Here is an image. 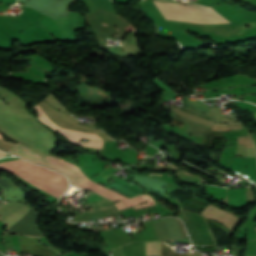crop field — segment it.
Masks as SVG:
<instances>
[{
    "label": "crop field",
    "instance_id": "crop-field-1",
    "mask_svg": "<svg viewBox=\"0 0 256 256\" xmlns=\"http://www.w3.org/2000/svg\"><path fill=\"white\" fill-rule=\"evenodd\" d=\"M167 196L175 198L178 201L179 207L182 208L181 210L190 212L203 246H205V245H230L229 238L232 233L229 232L226 228H207V226L208 227H224V226L204 217L206 224H207V226H206L204 219H203L202 215L200 214L202 211L201 209H197V208H193V207H189V206H185V205H180V204L196 197L194 195V190H192V189H188V190L177 189V190L168 192ZM184 204L202 208V209H204L208 205L207 202L202 201L198 198H195V199H193L189 202H186ZM190 214L187 212L181 211L179 218H181L184 221L193 244L194 245H202L200 242V239L198 237V234L196 232V229H195V226L193 224ZM215 247L216 246L196 247V249L199 251H202V252L213 253ZM232 250L241 251L242 247H239L237 245H232Z\"/></svg>",
    "mask_w": 256,
    "mask_h": 256
},
{
    "label": "crop field",
    "instance_id": "crop-field-2",
    "mask_svg": "<svg viewBox=\"0 0 256 256\" xmlns=\"http://www.w3.org/2000/svg\"><path fill=\"white\" fill-rule=\"evenodd\" d=\"M152 232L155 241H169L173 238H184L188 239L187 233L184 229L182 222L179 219H172L166 221H160L148 224ZM147 224L143 225L144 230L139 232L135 238L134 242H150L154 241L150 233ZM131 240L132 238L120 228ZM119 228L111 230L124 244L131 243V240L120 230ZM110 230L101 232L108 245L113 248L120 247L124 245ZM132 240V241H133ZM160 256H171L174 252L172 249L164 245V243L159 242ZM131 256H144L143 243H131L130 244ZM172 256H201V253H190V254H179L173 253Z\"/></svg>",
    "mask_w": 256,
    "mask_h": 256
},
{
    "label": "crop field",
    "instance_id": "crop-field-3",
    "mask_svg": "<svg viewBox=\"0 0 256 256\" xmlns=\"http://www.w3.org/2000/svg\"><path fill=\"white\" fill-rule=\"evenodd\" d=\"M0 168L13 172L22 180L58 199L68 187L64 175L19 158L0 162Z\"/></svg>",
    "mask_w": 256,
    "mask_h": 256
},
{
    "label": "crop field",
    "instance_id": "crop-field-4",
    "mask_svg": "<svg viewBox=\"0 0 256 256\" xmlns=\"http://www.w3.org/2000/svg\"><path fill=\"white\" fill-rule=\"evenodd\" d=\"M8 152L25 157V158L35 161L37 163H40V164H43L50 168H53L61 173H64L66 176L69 177L70 182L74 185L78 186V185L90 180L87 176H85L81 172L79 167H77L67 161L61 160L59 158L51 157L49 155L46 156L45 158H42L41 156L36 154L31 149H29L25 146H22L18 143H16L13 147H11L8 150ZM78 187H80L82 189H88L90 191H94L96 193H99L103 196L110 198L113 201L126 199V197H124L108 188H105L91 180L78 186Z\"/></svg>",
    "mask_w": 256,
    "mask_h": 256
},
{
    "label": "crop field",
    "instance_id": "crop-field-5",
    "mask_svg": "<svg viewBox=\"0 0 256 256\" xmlns=\"http://www.w3.org/2000/svg\"><path fill=\"white\" fill-rule=\"evenodd\" d=\"M154 1L165 19L206 24L227 23L228 21L207 6L199 4L181 6L167 1Z\"/></svg>",
    "mask_w": 256,
    "mask_h": 256
},
{
    "label": "crop field",
    "instance_id": "crop-field-6",
    "mask_svg": "<svg viewBox=\"0 0 256 256\" xmlns=\"http://www.w3.org/2000/svg\"><path fill=\"white\" fill-rule=\"evenodd\" d=\"M34 108L38 112V116L41 122L48 124L56 131L62 133L64 136H66L68 139L73 141L75 144H80V145L90 146V147H98V148L102 147L103 141H97V140H102L97 134L59 128L58 126H56L50 121V119L46 116V114L43 112V110L40 108L39 105L34 106ZM81 137L88 138V139H97V140H90L89 142H86V143H80L78 141Z\"/></svg>",
    "mask_w": 256,
    "mask_h": 256
},
{
    "label": "crop field",
    "instance_id": "crop-field-7",
    "mask_svg": "<svg viewBox=\"0 0 256 256\" xmlns=\"http://www.w3.org/2000/svg\"><path fill=\"white\" fill-rule=\"evenodd\" d=\"M30 208L18 202H5L0 206V218L6 221L9 228L20 219Z\"/></svg>",
    "mask_w": 256,
    "mask_h": 256
},
{
    "label": "crop field",
    "instance_id": "crop-field-8",
    "mask_svg": "<svg viewBox=\"0 0 256 256\" xmlns=\"http://www.w3.org/2000/svg\"><path fill=\"white\" fill-rule=\"evenodd\" d=\"M183 101V106L180 107V109L194 115V116H198L201 118H205L208 120H212L210 117H208L206 114L208 112V110L205 108V104L204 103H194L191 100H188L186 98L182 99Z\"/></svg>",
    "mask_w": 256,
    "mask_h": 256
},
{
    "label": "crop field",
    "instance_id": "crop-field-9",
    "mask_svg": "<svg viewBox=\"0 0 256 256\" xmlns=\"http://www.w3.org/2000/svg\"><path fill=\"white\" fill-rule=\"evenodd\" d=\"M145 256L159 255L158 242L144 243ZM112 256H130L129 245L112 250Z\"/></svg>",
    "mask_w": 256,
    "mask_h": 256
},
{
    "label": "crop field",
    "instance_id": "crop-field-10",
    "mask_svg": "<svg viewBox=\"0 0 256 256\" xmlns=\"http://www.w3.org/2000/svg\"><path fill=\"white\" fill-rule=\"evenodd\" d=\"M122 202L126 206V208H128V207L133 206L135 204L143 203L145 201L139 195H137V196H135L131 199L123 200Z\"/></svg>",
    "mask_w": 256,
    "mask_h": 256
},
{
    "label": "crop field",
    "instance_id": "crop-field-11",
    "mask_svg": "<svg viewBox=\"0 0 256 256\" xmlns=\"http://www.w3.org/2000/svg\"><path fill=\"white\" fill-rule=\"evenodd\" d=\"M141 197H142L147 203L142 204V205L135 206V207H133L134 209L155 205L154 200H153L149 195H141Z\"/></svg>",
    "mask_w": 256,
    "mask_h": 256
},
{
    "label": "crop field",
    "instance_id": "crop-field-12",
    "mask_svg": "<svg viewBox=\"0 0 256 256\" xmlns=\"http://www.w3.org/2000/svg\"><path fill=\"white\" fill-rule=\"evenodd\" d=\"M115 205L118 208V210L125 209V207L123 206V204L121 202H117V203H115Z\"/></svg>",
    "mask_w": 256,
    "mask_h": 256
},
{
    "label": "crop field",
    "instance_id": "crop-field-13",
    "mask_svg": "<svg viewBox=\"0 0 256 256\" xmlns=\"http://www.w3.org/2000/svg\"><path fill=\"white\" fill-rule=\"evenodd\" d=\"M5 155H7V154H5V153H3V152L0 151V157H1V156H5Z\"/></svg>",
    "mask_w": 256,
    "mask_h": 256
},
{
    "label": "crop field",
    "instance_id": "crop-field-14",
    "mask_svg": "<svg viewBox=\"0 0 256 256\" xmlns=\"http://www.w3.org/2000/svg\"><path fill=\"white\" fill-rule=\"evenodd\" d=\"M253 115H254V117H255V119H256V113H253Z\"/></svg>",
    "mask_w": 256,
    "mask_h": 256
}]
</instances>
